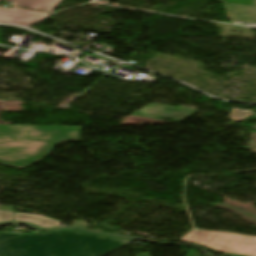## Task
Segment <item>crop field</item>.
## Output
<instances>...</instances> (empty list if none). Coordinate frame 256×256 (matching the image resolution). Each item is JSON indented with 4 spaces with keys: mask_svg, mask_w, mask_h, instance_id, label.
Segmentation results:
<instances>
[{
    "mask_svg": "<svg viewBox=\"0 0 256 256\" xmlns=\"http://www.w3.org/2000/svg\"><path fill=\"white\" fill-rule=\"evenodd\" d=\"M13 6L53 12L61 0H7ZM49 13L11 7L0 8V23H11L24 27L30 26L46 18Z\"/></svg>",
    "mask_w": 256,
    "mask_h": 256,
    "instance_id": "crop-field-4",
    "label": "crop field"
},
{
    "mask_svg": "<svg viewBox=\"0 0 256 256\" xmlns=\"http://www.w3.org/2000/svg\"><path fill=\"white\" fill-rule=\"evenodd\" d=\"M254 1V4L256 5V0H253Z\"/></svg>",
    "mask_w": 256,
    "mask_h": 256,
    "instance_id": "crop-field-10",
    "label": "crop field"
},
{
    "mask_svg": "<svg viewBox=\"0 0 256 256\" xmlns=\"http://www.w3.org/2000/svg\"><path fill=\"white\" fill-rule=\"evenodd\" d=\"M181 240L194 242L218 251L256 256V237L206 231H191Z\"/></svg>",
    "mask_w": 256,
    "mask_h": 256,
    "instance_id": "crop-field-3",
    "label": "crop field"
},
{
    "mask_svg": "<svg viewBox=\"0 0 256 256\" xmlns=\"http://www.w3.org/2000/svg\"><path fill=\"white\" fill-rule=\"evenodd\" d=\"M231 19L253 20L256 15V7L228 4Z\"/></svg>",
    "mask_w": 256,
    "mask_h": 256,
    "instance_id": "crop-field-7",
    "label": "crop field"
},
{
    "mask_svg": "<svg viewBox=\"0 0 256 256\" xmlns=\"http://www.w3.org/2000/svg\"><path fill=\"white\" fill-rule=\"evenodd\" d=\"M80 127L0 125V164L24 169L55 144L79 142Z\"/></svg>",
    "mask_w": 256,
    "mask_h": 256,
    "instance_id": "crop-field-2",
    "label": "crop field"
},
{
    "mask_svg": "<svg viewBox=\"0 0 256 256\" xmlns=\"http://www.w3.org/2000/svg\"><path fill=\"white\" fill-rule=\"evenodd\" d=\"M227 3H232V4H242V5H251L254 6L252 0H224Z\"/></svg>",
    "mask_w": 256,
    "mask_h": 256,
    "instance_id": "crop-field-8",
    "label": "crop field"
},
{
    "mask_svg": "<svg viewBox=\"0 0 256 256\" xmlns=\"http://www.w3.org/2000/svg\"><path fill=\"white\" fill-rule=\"evenodd\" d=\"M254 20H256V17L254 18Z\"/></svg>",
    "mask_w": 256,
    "mask_h": 256,
    "instance_id": "crop-field-11",
    "label": "crop field"
},
{
    "mask_svg": "<svg viewBox=\"0 0 256 256\" xmlns=\"http://www.w3.org/2000/svg\"><path fill=\"white\" fill-rule=\"evenodd\" d=\"M132 242L80 231L0 232V256H103Z\"/></svg>",
    "mask_w": 256,
    "mask_h": 256,
    "instance_id": "crop-field-1",
    "label": "crop field"
},
{
    "mask_svg": "<svg viewBox=\"0 0 256 256\" xmlns=\"http://www.w3.org/2000/svg\"><path fill=\"white\" fill-rule=\"evenodd\" d=\"M73 227H81V228L88 229L89 224H87L85 222L75 221V222H73Z\"/></svg>",
    "mask_w": 256,
    "mask_h": 256,
    "instance_id": "crop-field-9",
    "label": "crop field"
},
{
    "mask_svg": "<svg viewBox=\"0 0 256 256\" xmlns=\"http://www.w3.org/2000/svg\"><path fill=\"white\" fill-rule=\"evenodd\" d=\"M23 221L38 226L40 228H51L59 226L60 221L44 217L41 215L25 214L11 211L0 210V222Z\"/></svg>",
    "mask_w": 256,
    "mask_h": 256,
    "instance_id": "crop-field-6",
    "label": "crop field"
},
{
    "mask_svg": "<svg viewBox=\"0 0 256 256\" xmlns=\"http://www.w3.org/2000/svg\"><path fill=\"white\" fill-rule=\"evenodd\" d=\"M199 110L179 106L177 108L152 103L132 115L182 122Z\"/></svg>",
    "mask_w": 256,
    "mask_h": 256,
    "instance_id": "crop-field-5",
    "label": "crop field"
}]
</instances>
